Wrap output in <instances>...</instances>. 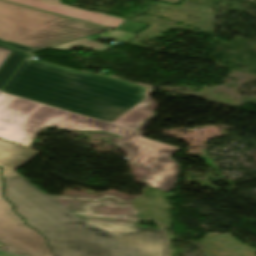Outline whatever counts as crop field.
<instances>
[{"label":"crop field","mask_w":256,"mask_h":256,"mask_svg":"<svg viewBox=\"0 0 256 256\" xmlns=\"http://www.w3.org/2000/svg\"><path fill=\"white\" fill-rule=\"evenodd\" d=\"M6 1L62 14L65 16L96 23V24L114 28V29L125 21V19L110 16L107 14H103L99 12H89V11H85V10L71 7L68 5H64V4H61L59 0H6ZM146 27H148V25L130 20L124 25H122L121 27H119L117 30L135 34Z\"/></svg>","instance_id":"crop-field-6"},{"label":"crop field","mask_w":256,"mask_h":256,"mask_svg":"<svg viewBox=\"0 0 256 256\" xmlns=\"http://www.w3.org/2000/svg\"><path fill=\"white\" fill-rule=\"evenodd\" d=\"M0 249L22 256H51L44 237L23 225L11 211V205L1 197L0 183Z\"/></svg>","instance_id":"crop-field-5"},{"label":"crop field","mask_w":256,"mask_h":256,"mask_svg":"<svg viewBox=\"0 0 256 256\" xmlns=\"http://www.w3.org/2000/svg\"><path fill=\"white\" fill-rule=\"evenodd\" d=\"M0 256H13V255H10V254H6V253H3V252H0Z\"/></svg>","instance_id":"crop-field-13"},{"label":"crop field","mask_w":256,"mask_h":256,"mask_svg":"<svg viewBox=\"0 0 256 256\" xmlns=\"http://www.w3.org/2000/svg\"><path fill=\"white\" fill-rule=\"evenodd\" d=\"M150 101L143 100L135 107L121 115L119 118L114 120L112 123L122 125L128 128L135 129L153 116L152 111L145 109V106Z\"/></svg>","instance_id":"crop-field-8"},{"label":"crop field","mask_w":256,"mask_h":256,"mask_svg":"<svg viewBox=\"0 0 256 256\" xmlns=\"http://www.w3.org/2000/svg\"><path fill=\"white\" fill-rule=\"evenodd\" d=\"M170 3H179L180 0H163Z\"/></svg>","instance_id":"crop-field-12"},{"label":"crop field","mask_w":256,"mask_h":256,"mask_svg":"<svg viewBox=\"0 0 256 256\" xmlns=\"http://www.w3.org/2000/svg\"><path fill=\"white\" fill-rule=\"evenodd\" d=\"M147 90L26 59L2 92L111 122L142 101Z\"/></svg>","instance_id":"crop-field-3"},{"label":"crop field","mask_w":256,"mask_h":256,"mask_svg":"<svg viewBox=\"0 0 256 256\" xmlns=\"http://www.w3.org/2000/svg\"><path fill=\"white\" fill-rule=\"evenodd\" d=\"M38 152L0 140V167L3 177L20 176L15 171Z\"/></svg>","instance_id":"crop-field-7"},{"label":"crop field","mask_w":256,"mask_h":256,"mask_svg":"<svg viewBox=\"0 0 256 256\" xmlns=\"http://www.w3.org/2000/svg\"><path fill=\"white\" fill-rule=\"evenodd\" d=\"M103 29L0 1V40L4 42L41 49L99 33Z\"/></svg>","instance_id":"crop-field-4"},{"label":"crop field","mask_w":256,"mask_h":256,"mask_svg":"<svg viewBox=\"0 0 256 256\" xmlns=\"http://www.w3.org/2000/svg\"><path fill=\"white\" fill-rule=\"evenodd\" d=\"M0 47L12 50L11 53L7 56V58L4 60V62L0 65V89H1L2 86L9 79V77L16 70V68L19 66V64L22 62V60L27 54L2 46V45H0Z\"/></svg>","instance_id":"crop-field-9"},{"label":"crop field","mask_w":256,"mask_h":256,"mask_svg":"<svg viewBox=\"0 0 256 256\" xmlns=\"http://www.w3.org/2000/svg\"><path fill=\"white\" fill-rule=\"evenodd\" d=\"M9 50L1 49L0 48V64L2 61L6 58V56L9 54ZM11 53V52H10ZM4 62V61H3Z\"/></svg>","instance_id":"crop-field-11"},{"label":"crop field","mask_w":256,"mask_h":256,"mask_svg":"<svg viewBox=\"0 0 256 256\" xmlns=\"http://www.w3.org/2000/svg\"><path fill=\"white\" fill-rule=\"evenodd\" d=\"M49 126L121 136L117 145L129 150V162L152 171L141 179L143 182L167 192L176 187L179 165L170 157L180 148L136 136L123 127L0 93V138L29 147L40 130Z\"/></svg>","instance_id":"crop-field-2"},{"label":"crop field","mask_w":256,"mask_h":256,"mask_svg":"<svg viewBox=\"0 0 256 256\" xmlns=\"http://www.w3.org/2000/svg\"><path fill=\"white\" fill-rule=\"evenodd\" d=\"M1 41H0V43L4 42V41L3 42H1ZM3 44L9 45L11 47H14V48H17V49H20V50H23V51H27V52L34 51V49H30V48L23 47V46H20V45H17V44H13V43H3Z\"/></svg>","instance_id":"crop-field-10"},{"label":"crop field","mask_w":256,"mask_h":256,"mask_svg":"<svg viewBox=\"0 0 256 256\" xmlns=\"http://www.w3.org/2000/svg\"><path fill=\"white\" fill-rule=\"evenodd\" d=\"M4 196L54 256H166L162 230L81 221L22 177L3 178Z\"/></svg>","instance_id":"crop-field-1"}]
</instances>
